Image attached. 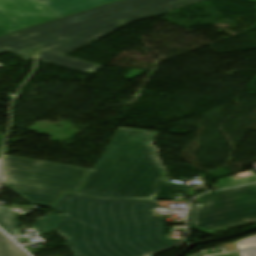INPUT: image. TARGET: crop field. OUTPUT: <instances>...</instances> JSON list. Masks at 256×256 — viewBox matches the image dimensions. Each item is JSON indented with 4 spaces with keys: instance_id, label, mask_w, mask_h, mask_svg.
Masks as SVG:
<instances>
[{
    "instance_id": "obj_8",
    "label": "crop field",
    "mask_w": 256,
    "mask_h": 256,
    "mask_svg": "<svg viewBox=\"0 0 256 256\" xmlns=\"http://www.w3.org/2000/svg\"><path fill=\"white\" fill-rule=\"evenodd\" d=\"M0 227L9 236H21L19 222L8 209H0Z\"/></svg>"
},
{
    "instance_id": "obj_18",
    "label": "crop field",
    "mask_w": 256,
    "mask_h": 256,
    "mask_svg": "<svg viewBox=\"0 0 256 256\" xmlns=\"http://www.w3.org/2000/svg\"><path fill=\"white\" fill-rule=\"evenodd\" d=\"M39 1H44V0H39Z\"/></svg>"
},
{
    "instance_id": "obj_13",
    "label": "crop field",
    "mask_w": 256,
    "mask_h": 256,
    "mask_svg": "<svg viewBox=\"0 0 256 256\" xmlns=\"http://www.w3.org/2000/svg\"><path fill=\"white\" fill-rule=\"evenodd\" d=\"M205 255H207L206 251H202V252H200L196 255H193V256H205Z\"/></svg>"
},
{
    "instance_id": "obj_17",
    "label": "crop field",
    "mask_w": 256,
    "mask_h": 256,
    "mask_svg": "<svg viewBox=\"0 0 256 256\" xmlns=\"http://www.w3.org/2000/svg\"><path fill=\"white\" fill-rule=\"evenodd\" d=\"M2 150L0 149V158H1Z\"/></svg>"
},
{
    "instance_id": "obj_15",
    "label": "crop field",
    "mask_w": 256,
    "mask_h": 256,
    "mask_svg": "<svg viewBox=\"0 0 256 256\" xmlns=\"http://www.w3.org/2000/svg\"><path fill=\"white\" fill-rule=\"evenodd\" d=\"M18 243L25 242L23 238H14Z\"/></svg>"
},
{
    "instance_id": "obj_11",
    "label": "crop field",
    "mask_w": 256,
    "mask_h": 256,
    "mask_svg": "<svg viewBox=\"0 0 256 256\" xmlns=\"http://www.w3.org/2000/svg\"><path fill=\"white\" fill-rule=\"evenodd\" d=\"M235 243L238 250L244 248H256V235L240 241H236Z\"/></svg>"
},
{
    "instance_id": "obj_1",
    "label": "crop field",
    "mask_w": 256,
    "mask_h": 256,
    "mask_svg": "<svg viewBox=\"0 0 256 256\" xmlns=\"http://www.w3.org/2000/svg\"><path fill=\"white\" fill-rule=\"evenodd\" d=\"M156 205L64 194L53 208L65 215L54 230L74 256H147L175 244L150 211Z\"/></svg>"
},
{
    "instance_id": "obj_5",
    "label": "crop field",
    "mask_w": 256,
    "mask_h": 256,
    "mask_svg": "<svg viewBox=\"0 0 256 256\" xmlns=\"http://www.w3.org/2000/svg\"><path fill=\"white\" fill-rule=\"evenodd\" d=\"M203 207L190 209L189 228L216 233L256 223V184L199 197Z\"/></svg>"
},
{
    "instance_id": "obj_7",
    "label": "crop field",
    "mask_w": 256,
    "mask_h": 256,
    "mask_svg": "<svg viewBox=\"0 0 256 256\" xmlns=\"http://www.w3.org/2000/svg\"><path fill=\"white\" fill-rule=\"evenodd\" d=\"M114 0H47L44 3L60 17Z\"/></svg>"
},
{
    "instance_id": "obj_3",
    "label": "crop field",
    "mask_w": 256,
    "mask_h": 256,
    "mask_svg": "<svg viewBox=\"0 0 256 256\" xmlns=\"http://www.w3.org/2000/svg\"><path fill=\"white\" fill-rule=\"evenodd\" d=\"M157 132L120 127L80 195L119 200H174L190 186L164 183L165 172L150 142Z\"/></svg>"
},
{
    "instance_id": "obj_14",
    "label": "crop field",
    "mask_w": 256,
    "mask_h": 256,
    "mask_svg": "<svg viewBox=\"0 0 256 256\" xmlns=\"http://www.w3.org/2000/svg\"><path fill=\"white\" fill-rule=\"evenodd\" d=\"M218 256H240L239 253L235 254H224V255H218Z\"/></svg>"
},
{
    "instance_id": "obj_6",
    "label": "crop field",
    "mask_w": 256,
    "mask_h": 256,
    "mask_svg": "<svg viewBox=\"0 0 256 256\" xmlns=\"http://www.w3.org/2000/svg\"><path fill=\"white\" fill-rule=\"evenodd\" d=\"M56 18L38 0H0V27L8 33Z\"/></svg>"
},
{
    "instance_id": "obj_4",
    "label": "crop field",
    "mask_w": 256,
    "mask_h": 256,
    "mask_svg": "<svg viewBox=\"0 0 256 256\" xmlns=\"http://www.w3.org/2000/svg\"><path fill=\"white\" fill-rule=\"evenodd\" d=\"M89 172L4 155L1 183L29 203L53 208L64 192L77 194Z\"/></svg>"
},
{
    "instance_id": "obj_16",
    "label": "crop field",
    "mask_w": 256,
    "mask_h": 256,
    "mask_svg": "<svg viewBox=\"0 0 256 256\" xmlns=\"http://www.w3.org/2000/svg\"><path fill=\"white\" fill-rule=\"evenodd\" d=\"M7 34L3 29L0 28V35Z\"/></svg>"
},
{
    "instance_id": "obj_9",
    "label": "crop field",
    "mask_w": 256,
    "mask_h": 256,
    "mask_svg": "<svg viewBox=\"0 0 256 256\" xmlns=\"http://www.w3.org/2000/svg\"><path fill=\"white\" fill-rule=\"evenodd\" d=\"M0 256H28L16 244L0 232Z\"/></svg>"
},
{
    "instance_id": "obj_12",
    "label": "crop field",
    "mask_w": 256,
    "mask_h": 256,
    "mask_svg": "<svg viewBox=\"0 0 256 256\" xmlns=\"http://www.w3.org/2000/svg\"><path fill=\"white\" fill-rule=\"evenodd\" d=\"M241 256H256V251L250 250V251H243L239 252Z\"/></svg>"
},
{
    "instance_id": "obj_2",
    "label": "crop field",
    "mask_w": 256,
    "mask_h": 256,
    "mask_svg": "<svg viewBox=\"0 0 256 256\" xmlns=\"http://www.w3.org/2000/svg\"><path fill=\"white\" fill-rule=\"evenodd\" d=\"M201 0H120L0 37V53L11 51L93 74L101 66L63 56L133 21L162 15Z\"/></svg>"
},
{
    "instance_id": "obj_10",
    "label": "crop field",
    "mask_w": 256,
    "mask_h": 256,
    "mask_svg": "<svg viewBox=\"0 0 256 256\" xmlns=\"http://www.w3.org/2000/svg\"><path fill=\"white\" fill-rule=\"evenodd\" d=\"M62 216L60 214L43 218V220L38 221L37 225L34 226V231L39 234L43 231L53 230Z\"/></svg>"
}]
</instances>
